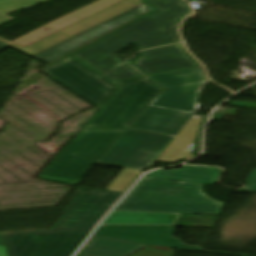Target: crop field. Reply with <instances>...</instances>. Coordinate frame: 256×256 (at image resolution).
<instances>
[{
    "label": "crop field",
    "mask_w": 256,
    "mask_h": 256,
    "mask_svg": "<svg viewBox=\"0 0 256 256\" xmlns=\"http://www.w3.org/2000/svg\"><path fill=\"white\" fill-rule=\"evenodd\" d=\"M157 12L119 30L72 56L111 81L141 77L119 60L117 53L131 43L139 50L181 41L177 29L190 7L182 0H146Z\"/></svg>",
    "instance_id": "obj_1"
},
{
    "label": "crop field",
    "mask_w": 256,
    "mask_h": 256,
    "mask_svg": "<svg viewBox=\"0 0 256 256\" xmlns=\"http://www.w3.org/2000/svg\"><path fill=\"white\" fill-rule=\"evenodd\" d=\"M123 195L119 192L77 190L51 230L2 234L9 256H72L93 226Z\"/></svg>",
    "instance_id": "obj_2"
},
{
    "label": "crop field",
    "mask_w": 256,
    "mask_h": 256,
    "mask_svg": "<svg viewBox=\"0 0 256 256\" xmlns=\"http://www.w3.org/2000/svg\"><path fill=\"white\" fill-rule=\"evenodd\" d=\"M150 78L166 90L130 128L176 136L195 113L198 93L208 81L206 74L200 67Z\"/></svg>",
    "instance_id": "obj_3"
},
{
    "label": "crop field",
    "mask_w": 256,
    "mask_h": 256,
    "mask_svg": "<svg viewBox=\"0 0 256 256\" xmlns=\"http://www.w3.org/2000/svg\"><path fill=\"white\" fill-rule=\"evenodd\" d=\"M223 205L202 185L143 177L115 210L217 215Z\"/></svg>",
    "instance_id": "obj_4"
},
{
    "label": "crop field",
    "mask_w": 256,
    "mask_h": 256,
    "mask_svg": "<svg viewBox=\"0 0 256 256\" xmlns=\"http://www.w3.org/2000/svg\"><path fill=\"white\" fill-rule=\"evenodd\" d=\"M127 129H83L39 177L78 185Z\"/></svg>",
    "instance_id": "obj_5"
},
{
    "label": "crop field",
    "mask_w": 256,
    "mask_h": 256,
    "mask_svg": "<svg viewBox=\"0 0 256 256\" xmlns=\"http://www.w3.org/2000/svg\"><path fill=\"white\" fill-rule=\"evenodd\" d=\"M115 84L121 89L86 127L127 128L162 90L160 86L145 77L115 82Z\"/></svg>",
    "instance_id": "obj_6"
},
{
    "label": "crop field",
    "mask_w": 256,
    "mask_h": 256,
    "mask_svg": "<svg viewBox=\"0 0 256 256\" xmlns=\"http://www.w3.org/2000/svg\"><path fill=\"white\" fill-rule=\"evenodd\" d=\"M172 138V136L128 129L98 164L145 169L156 160Z\"/></svg>",
    "instance_id": "obj_7"
},
{
    "label": "crop field",
    "mask_w": 256,
    "mask_h": 256,
    "mask_svg": "<svg viewBox=\"0 0 256 256\" xmlns=\"http://www.w3.org/2000/svg\"><path fill=\"white\" fill-rule=\"evenodd\" d=\"M41 71L99 109L118 89L70 57Z\"/></svg>",
    "instance_id": "obj_8"
},
{
    "label": "crop field",
    "mask_w": 256,
    "mask_h": 256,
    "mask_svg": "<svg viewBox=\"0 0 256 256\" xmlns=\"http://www.w3.org/2000/svg\"><path fill=\"white\" fill-rule=\"evenodd\" d=\"M174 226H113L100 225L94 236L136 242L147 245L203 250L185 245L173 238Z\"/></svg>",
    "instance_id": "obj_9"
},
{
    "label": "crop field",
    "mask_w": 256,
    "mask_h": 256,
    "mask_svg": "<svg viewBox=\"0 0 256 256\" xmlns=\"http://www.w3.org/2000/svg\"><path fill=\"white\" fill-rule=\"evenodd\" d=\"M144 74H155L193 66H199L183 44L142 52L133 62Z\"/></svg>",
    "instance_id": "obj_10"
},
{
    "label": "crop field",
    "mask_w": 256,
    "mask_h": 256,
    "mask_svg": "<svg viewBox=\"0 0 256 256\" xmlns=\"http://www.w3.org/2000/svg\"><path fill=\"white\" fill-rule=\"evenodd\" d=\"M123 0H99L86 7H83L73 13H70L62 18H59L17 40H14L8 44L21 49L33 42H36L48 35H51L63 28H66L78 21H81L91 15H94L106 8H109Z\"/></svg>",
    "instance_id": "obj_11"
},
{
    "label": "crop field",
    "mask_w": 256,
    "mask_h": 256,
    "mask_svg": "<svg viewBox=\"0 0 256 256\" xmlns=\"http://www.w3.org/2000/svg\"><path fill=\"white\" fill-rule=\"evenodd\" d=\"M202 120L192 118L181 130L174 141L166 149L158 161L175 163L180 159L190 160L194 158L190 151L199 131Z\"/></svg>",
    "instance_id": "obj_12"
},
{
    "label": "crop field",
    "mask_w": 256,
    "mask_h": 256,
    "mask_svg": "<svg viewBox=\"0 0 256 256\" xmlns=\"http://www.w3.org/2000/svg\"><path fill=\"white\" fill-rule=\"evenodd\" d=\"M219 172L218 168L183 166L182 169L156 171L146 176L213 185L218 179Z\"/></svg>",
    "instance_id": "obj_13"
},
{
    "label": "crop field",
    "mask_w": 256,
    "mask_h": 256,
    "mask_svg": "<svg viewBox=\"0 0 256 256\" xmlns=\"http://www.w3.org/2000/svg\"><path fill=\"white\" fill-rule=\"evenodd\" d=\"M180 214L114 211L102 224L114 225H174ZM143 218V221H139Z\"/></svg>",
    "instance_id": "obj_14"
},
{
    "label": "crop field",
    "mask_w": 256,
    "mask_h": 256,
    "mask_svg": "<svg viewBox=\"0 0 256 256\" xmlns=\"http://www.w3.org/2000/svg\"><path fill=\"white\" fill-rule=\"evenodd\" d=\"M146 245L92 237L79 254L90 256H128Z\"/></svg>",
    "instance_id": "obj_15"
},
{
    "label": "crop field",
    "mask_w": 256,
    "mask_h": 256,
    "mask_svg": "<svg viewBox=\"0 0 256 256\" xmlns=\"http://www.w3.org/2000/svg\"><path fill=\"white\" fill-rule=\"evenodd\" d=\"M50 0H0V13L8 15L20 8H29L39 2Z\"/></svg>",
    "instance_id": "obj_16"
},
{
    "label": "crop field",
    "mask_w": 256,
    "mask_h": 256,
    "mask_svg": "<svg viewBox=\"0 0 256 256\" xmlns=\"http://www.w3.org/2000/svg\"><path fill=\"white\" fill-rule=\"evenodd\" d=\"M149 247H153V246H149ZM145 248L144 250L146 251H150V252H154V253H158V254H162V255H166V256H172L173 255V250H171L170 248H164V247H153V248H158V249H162V250H167V251H170V253L168 252H164V251H160V250H156V249H152V248ZM144 250L136 253V254H141V255H145V256H158V255H154V254H150V253H146V252H143ZM132 255V256H140V255Z\"/></svg>",
    "instance_id": "obj_17"
},
{
    "label": "crop field",
    "mask_w": 256,
    "mask_h": 256,
    "mask_svg": "<svg viewBox=\"0 0 256 256\" xmlns=\"http://www.w3.org/2000/svg\"><path fill=\"white\" fill-rule=\"evenodd\" d=\"M256 192V170H252L243 193Z\"/></svg>",
    "instance_id": "obj_18"
},
{
    "label": "crop field",
    "mask_w": 256,
    "mask_h": 256,
    "mask_svg": "<svg viewBox=\"0 0 256 256\" xmlns=\"http://www.w3.org/2000/svg\"><path fill=\"white\" fill-rule=\"evenodd\" d=\"M13 19H15V18H11V17L0 15V25L4 24L6 22H9V21H11Z\"/></svg>",
    "instance_id": "obj_19"
},
{
    "label": "crop field",
    "mask_w": 256,
    "mask_h": 256,
    "mask_svg": "<svg viewBox=\"0 0 256 256\" xmlns=\"http://www.w3.org/2000/svg\"><path fill=\"white\" fill-rule=\"evenodd\" d=\"M0 256H7V252L4 246H0Z\"/></svg>",
    "instance_id": "obj_20"
},
{
    "label": "crop field",
    "mask_w": 256,
    "mask_h": 256,
    "mask_svg": "<svg viewBox=\"0 0 256 256\" xmlns=\"http://www.w3.org/2000/svg\"><path fill=\"white\" fill-rule=\"evenodd\" d=\"M7 47H8V46H6V45L0 43V51L3 50V49H5V48H7Z\"/></svg>",
    "instance_id": "obj_21"
},
{
    "label": "crop field",
    "mask_w": 256,
    "mask_h": 256,
    "mask_svg": "<svg viewBox=\"0 0 256 256\" xmlns=\"http://www.w3.org/2000/svg\"><path fill=\"white\" fill-rule=\"evenodd\" d=\"M9 232H16V231L0 232V234H2V233H9Z\"/></svg>",
    "instance_id": "obj_22"
},
{
    "label": "crop field",
    "mask_w": 256,
    "mask_h": 256,
    "mask_svg": "<svg viewBox=\"0 0 256 256\" xmlns=\"http://www.w3.org/2000/svg\"><path fill=\"white\" fill-rule=\"evenodd\" d=\"M0 245H4L1 239H0Z\"/></svg>",
    "instance_id": "obj_23"
},
{
    "label": "crop field",
    "mask_w": 256,
    "mask_h": 256,
    "mask_svg": "<svg viewBox=\"0 0 256 256\" xmlns=\"http://www.w3.org/2000/svg\"><path fill=\"white\" fill-rule=\"evenodd\" d=\"M77 256H81V255H77Z\"/></svg>",
    "instance_id": "obj_24"
}]
</instances>
